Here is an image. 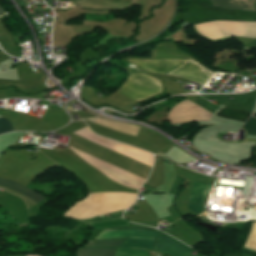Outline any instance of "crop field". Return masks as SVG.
Masks as SVG:
<instances>
[{
    "label": "crop field",
    "mask_w": 256,
    "mask_h": 256,
    "mask_svg": "<svg viewBox=\"0 0 256 256\" xmlns=\"http://www.w3.org/2000/svg\"><path fill=\"white\" fill-rule=\"evenodd\" d=\"M157 233L141 230L111 231L103 230L95 239L129 237L117 250L116 256H148L147 250L152 246ZM123 240L94 242L88 241L84 246L118 247ZM115 249H77V256H114Z\"/></svg>",
    "instance_id": "obj_1"
},
{
    "label": "crop field",
    "mask_w": 256,
    "mask_h": 256,
    "mask_svg": "<svg viewBox=\"0 0 256 256\" xmlns=\"http://www.w3.org/2000/svg\"><path fill=\"white\" fill-rule=\"evenodd\" d=\"M152 73L179 76L204 85L214 74L206 69L175 60L138 61L128 60Z\"/></svg>",
    "instance_id": "obj_2"
},
{
    "label": "crop field",
    "mask_w": 256,
    "mask_h": 256,
    "mask_svg": "<svg viewBox=\"0 0 256 256\" xmlns=\"http://www.w3.org/2000/svg\"><path fill=\"white\" fill-rule=\"evenodd\" d=\"M195 28L211 39L230 35L256 38V22L216 21L195 25Z\"/></svg>",
    "instance_id": "obj_3"
},
{
    "label": "crop field",
    "mask_w": 256,
    "mask_h": 256,
    "mask_svg": "<svg viewBox=\"0 0 256 256\" xmlns=\"http://www.w3.org/2000/svg\"><path fill=\"white\" fill-rule=\"evenodd\" d=\"M161 91L158 79L144 74H133L117 92L140 101Z\"/></svg>",
    "instance_id": "obj_4"
},
{
    "label": "crop field",
    "mask_w": 256,
    "mask_h": 256,
    "mask_svg": "<svg viewBox=\"0 0 256 256\" xmlns=\"http://www.w3.org/2000/svg\"><path fill=\"white\" fill-rule=\"evenodd\" d=\"M79 136H82L90 141H93L97 144H100L104 147H107L113 151H116L120 154H123L127 157H130L134 160H137L143 164H146L148 166H152V162H153V155L144 152L142 150L130 147V146H126L114 141H110L104 138H101L95 134H93L87 127L77 130L75 132H73Z\"/></svg>",
    "instance_id": "obj_5"
},
{
    "label": "crop field",
    "mask_w": 256,
    "mask_h": 256,
    "mask_svg": "<svg viewBox=\"0 0 256 256\" xmlns=\"http://www.w3.org/2000/svg\"><path fill=\"white\" fill-rule=\"evenodd\" d=\"M211 115V113L194 103L183 100L173 107L169 112L168 117L171 124H175L193 120H209Z\"/></svg>",
    "instance_id": "obj_6"
},
{
    "label": "crop field",
    "mask_w": 256,
    "mask_h": 256,
    "mask_svg": "<svg viewBox=\"0 0 256 256\" xmlns=\"http://www.w3.org/2000/svg\"><path fill=\"white\" fill-rule=\"evenodd\" d=\"M153 251L171 256H187L193 250L161 233Z\"/></svg>",
    "instance_id": "obj_7"
},
{
    "label": "crop field",
    "mask_w": 256,
    "mask_h": 256,
    "mask_svg": "<svg viewBox=\"0 0 256 256\" xmlns=\"http://www.w3.org/2000/svg\"><path fill=\"white\" fill-rule=\"evenodd\" d=\"M210 188V185L198 183L192 192L191 205L198 214H200L208 204L207 197Z\"/></svg>",
    "instance_id": "obj_8"
},
{
    "label": "crop field",
    "mask_w": 256,
    "mask_h": 256,
    "mask_svg": "<svg viewBox=\"0 0 256 256\" xmlns=\"http://www.w3.org/2000/svg\"><path fill=\"white\" fill-rule=\"evenodd\" d=\"M0 186L6 187L8 189H11V190L17 192V193H20V194L32 199L36 203H38L42 199H44L40 194L33 192L20 184H17L15 182L8 181V180L2 179V178H0Z\"/></svg>",
    "instance_id": "obj_9"
},
{
    "label": "crop field",
    "mask_w": 256,
    "mask_h": 256,
    "mask_svg": "<svg viewBox=\"0 0 256 256\" xmlns=\"http://www.w3.org/2000/svg\"><path fill=\"white\" fill-rule=\"evenodd\" d=\"M217 8L254 10L253 0H211Z\"/></svg>",
    "instance_id": "obj_10"
},
{
    "label": "crop field",
    "mask_w": 256,
    "mask_h": 256,
    "mask_svg": "<svg viewBox=\"0 0 256 256\" xmlns=\"http://www.w3.org/2000/svg\"><path fill=\"white\" fill-rule=\"evenodd\" d=\"M217 116L226 117L238 121L245 122V120L250 115L249 112L239 111V110H233L228 107L222 108L220 111L216 113Z\"/></svg>",
    "instance_id": "obj_11"
},
{
    "label": "crop field",
    "mask_w": 256,
    "mask_h": 256,
    "mask_svg": "<svg viewBox=\"0 0 256 256\" xmlns=\"http://www.w3.org/2000/svg\"><path fill=\"white\" fill-rule=\"evenodd\" d=\"M243 128L248 134L256 135V119L250 117Z\"/></svg>",
    "instance_id": "obj_12"
},
{
    "label": "crop field",
    "mask_w": 256,
    "mask_h": 256,
    "mask_svg": "<svg viewBox=\"0 0 256 256\" xmlns=\"http://www.w3.org/2000/svg\"><path fill=\"white\" fill-rule=\"evenodd\" d=\"M13 130V127L10 122L5 120L3 117L0 118V133Z\"/></svg>",
    "instance_id": "obj_13"
},
{
    "label": "crop field",
    "mask_w": 256,
    "mask_h": 256,
    "mask_svg": "<svg viewBox=\"0 0 256 256\" xmlns=\"http://www.w3.org/2000/svg\"><path fill=\"white\" fill-rule=\"evenodd\" d=\"M14 256H25V255H14Z\"/></svg>",
    "instance_id": "obj_14"
},
{
    "label": "crop field",
    "mask_w": 256,
    "mask_h": 256,
    "mask_svg": "<svg viewBox=\"0 0 256 256\" xmlns=\"http://www.w3.org/2000/svg\"><path fill=\"white\" fill-rule=\"evenodd\" d=\"M28 256H33V255H28Z\"/></svg>",
    "instance_id": "obj_15"
}]
</instances>
